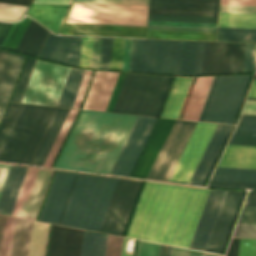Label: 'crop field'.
<instances>
[{"instance_id":"1","label":"crop field","mask_w":256,"mask_h":256,"mask_svg":"<svg viewBox=\"0 0 256 256\" xmlns=\"http://www.w3.org/2000/svg\"><path fill=\"white\" fill-rule=\"evenodd\" d=\"M208 191L145 182L125 236L188 248Z\"/></svg>"},{"instance_id":"2","label":"crop field","mask_w":256,"mask_h":256,"mask_svg":"<svg viewBox=\"0 0 256 256\" xmlns=\"http://www.w3.org/2000/svg\"><path fill=\"white\" fill-rule=\"evenodd\" d=\"M116 180L79 174L61 224L98 231Z\"/></svg>"},{"instance_id":"3","label":"crop field","mask_w":256,"mask_h":256,"mask_svg":"<svg viewBox=\"0 0 256 256\" xmlns=\"http://www.w3.org/2000/svg\"><path fill=\"white\" fill-rule=\"evenodd\" d=\"M171 78L126 73L112 112L158 116Z\"/></svg>"},{"instance_id":"4","label":"crop field","mask_w":256,"mask_h":256,"mask_svg":"<svg viewBox=\"0 0 256 256\" xmlns=\"http://www.w3.org/2000/svg\"><path fill=\"white\" fill-rule=\"evenodd\" d=\"M182 41L132 39L129 71L179 74Z\"/></svg>"},{"instance_id":"5","label":"crop field","mask_w":256,"mask_h":256,"mask_svg":"<svg viewBox=\"0 0 256 256\" xmlns=\"http://www.w3.org/2000/svg\"><path fill=\"white\" fill-rule=\"evenodd\" d=\"M148 6L73 3L66 22L146 26Z\"/></svg>"},{"instance_id":"6","label":"crop field","mask_w":256,"mask_h":256,"mask_svg":"<svg viewBox=\"0 0 256 256\" xmlns=\"http://www.w3.org/2000/svg\"><path fill=\"white\" fill-rule=\"evenodd\" d=\"M251 76H220L204 121L234 124Z\"/></svg>"},{"instance_id":"7","label":"crop field","mask_w":256,"mask_h":256,"mask_svg":"<svg viewBox=\"0 0 256 256\" xmlns=\"http://www.w3.org/2000/svg\"><path fill=\"white\" fill-rule=\"evenodd\" d=\"M69 69L37 60L21 102L56 106Z\"/></svg>"},{"instance_id":"8","label":"crop field","mask_w":256,"mask_h":256,"mask_svg":"<svg viewBox=\"0 0 256 256\" xmlns=\"http://www.w3.org/2000/svg\"><path fill=\"white\" fill-rule=\"evenodd\" d=\"M49 107L25 105L0 160L21 163Z\"/></svg>"},{"instance_id":"9","label":"crop field","mask_w":256,"mask_h":256,"mask_svg":"<svg viewBox=\"0 0 256 256\" xmlns=\"http://www.w3.org/2000/svg\"><path fill=\"white\" fill-rule=\"evenodd\" d=\"M141 183L122 179L117 180L99 231L123 235Z\"/></svg>"},{"instance_id":"10","label":"crop field","mask_w":256,"mask_h":256,"mask_svg":"<svg viewBox=\"0 0 256 256\" xmlns=\"http://www.w3.org/2000/svg\"><path fill=\"white\" fill-rule=\"evenodd\" d=\"M196 122L175 120L146 179L167 181Z\"/></svg>"},{"instance_id":"11","label":"crop field","mask_w":256,"mask_h":256,"mask_svg":"<svg viewBox=\"0 0 256 256\" xmlns=\"http://www.w3.org/2000/svg\"><path fill=\"white\" fill-rule=\"evenodd\" d=\"M54 171L29 168L11 215L37 219Z\"/></svg>"},{"instance_id":"12","label":"crop field","mask_w":256,"mask_h":256,"mask_svg":"<svg viewBox=\"0 0 256 256\" xmlns=\"http://www.w3.org/2000/svg\"><path fill=\"white\" fill-rule=\"evenodd\" d=\"M157 119L137 117L109 174L130 176Z\"/></svg>"},{"instance_id":"13","label":"crop field","mask_w":256,"mask_h":256,"mask_svg":"<svg viewBox=\"0 0 256 256\" xmlns=\"http://www.w3.org/2000/svg\"><path fill=\"white\" fill-rule=\"evenodd\" d=\"M216 125L197 123L169 181L188 183Z\"/></svg>"},{"instance_id":"14","label":"crop field","mask_w":256,"mask_h":256,"mask_svg":"<svg viewBox=\"0 0 256 256\" xmlns=\"http://www.w3.org/2000/svg\"><path fill=\"white\" fill-rule=\"evenodd\" d=\"M78 174L57 171L38 220L61 223Z\"/></svg>"},{"instance_id":"15","label":"crop field","mask_w":256,"mask_h":256,"mask_svg":"<svg viewBox=\"0 0 256 256\" xmlns=\"http://www.w3.org/2000/svg\"><path fill=\"white\" fill-rule=\"evenodd\" d=\"M245 44L210 42L207 74L242 72Z\"/></svg>"},{"instance_id":"16","label":"crop field","mask_w":256,"mask_h":256,"mask_svg":"<svg viewBox=\"0 0 256 256\" xmlns=\"http://www.w3.org/2000/svg\"><path fill=\"white\" fill-rule=\"evenodd\" d=\"M244 193L236 191L227 192L206 251L223 253Z\"/></svg>"},{"instance_id":"17","label":"crop field","mask_w":256,"mask_h":256,"mask_svg":"<svg viewBox=\"0 0 256 256\" xmlns=\"http://www.w3.org/2000/svg\"><path fill=\"white\" fill-rule=\"evenodd\" d=\"M226 192L218 190L209 191L189 248L206 250Z\"/></svg>"},{"instance_id":"18","label":"crop field","mask_w":256,"mask_h":256,"mask_svg":"<svg viewBox=\"0 0 256 256\" xmlns=\"http://www.w3.org/2000/svg\"><path fill=\"white\" fill-rule=\"evenodd\" d=\"M80 41L79 36H56L50 33L38 57L78 66Z\"/></svg>"},{"instance_id":"19","label":"crop field","mask_w":256,"mask_h":256,"mask_svg":"<svg viewBox=\"0 0 256 256\" xmlns=\"http://www.w3.org/2000/svg\"><path fill=\"white\" fill-rule=\"evenodd\" d=\"M233 126L218 124L189 183L203 186Z\"/></svg>"},{"instance_id":"20","label":"crop field","mask_w":256,"mask_h":256,"mask_svg":"<svg viewBox=\"0 0 256 256\" xmlns=\"http://www.w3.org/2000/svg\"><path fill=\"white\" fill-rule=\"evenodd\" d=\"M146 27L65 23L61 34L145 38Z\"/></svg>"},{"instance_id":"21","label":"crop field","mask_w":256,"mask_h":256,"mask_svg":"<svg viewBox=\"0 0 256 256\" xmlns=\"http://www.w3.org/2000/svg\"><path fill=\"white\" fill-rule=\"evenodd\" d=\"M118 74L96 71L82 109L105 111Z\"/></svg>"},{"instance_id":"22","label":"crop field","mask_w":256,"mask_h":256,"mask_svg":"<svg viewBox=\"0 0 256 256\" xmlns=\"http://www.w3.org/2000/svg\"><path fill=\"white\" fill-rule=\"evenodd\" d=\"M84 231L53 225L48 256H80Z\"/></svg>"},{"instance_id":"23","label":"crop field","mask_w":256,"mask_h":256,"mask_svg":"<svg viewBox=\"0 0 256 256\" xmlns=\"http://www.w3.org/2000/svg\"><path fill=\"white\" fill-rule=\"evenodd\" d=\"M2 51V50H1ZM0 51V117L9 101L24 57Z\"/></svg>"},{"instance_id":"24","label":"crop field","mask_w":256,"mask_h":256,"mask_svg":"<svg viewBox=\"0 0 256 256\" xmlns=\"http://www.w3.org/2000/svg\"><path fill=\"white\" fill-rule=\"evenodd\" d=\"M208 186L256 189V169L217 167Z\"/></svg>"},{"instance_id":"25","label":"crop field","mask_w":256,"mask_h":256,"mask_svg":"<svg viewBox=\"0 0 256 256\" xmlns=\"http://www.w3.org/2000/svg\"><path fill=\"white\" fill-rule=\"evenodd\" d=\"M174 120L161 118L132 177L145 179Z\"/></svg>"},{"instance_id":"26","label":"crop field","mask_w":256,"mask_h":256,"mask_svg":"<svg viewBox=\"0 0 256 256\" xmlns=\"http://www.w3.org/2000/svg\"><path fill=\"white\" fill-rule=\"evenodd\" d=\"M69 110L57 108L30 164L43 165Z\"/></svg>"},{"instance_id":"27","label":"crop field","mask_w":256,"mask_h":256,"mask_svg":"<svg viewBox=\"0 0 256 256\" xmlns=\"http://www.w3.org/2000/svg\"><path fill=\"white\" fill-rule=\"evenodd\" d=\"M28 168L12 166L0 197V213L11 214Z\"/></svg>"},{"instance_id":"28","label":"crop field","mask_w":256,"mask_h":256,"mask_svg":"<svg viewBox=\"0 0 256 256\" xmlns=\"http://www.w3.org/2000/svg\"><path fill=\"white\" fill-rule=\"evenodd\" d=\"M218 166L256 168V147L228 145Z\"/></svg>"},{"instance_id":"29","label":"crop field","mask_w":256,"mask_h":256,"mask_svg":"<svg viewBox=\"0 0 256 256\" xmlns=\"http://www.w3.org/2000/svg\"><path fill=\"white\" fill-rule=\"evenodd\" d=\"M150 9L217 12L218 0H151Z\"/></svg>"},{"instance_id":"30","label":"crop field","mask_w":256,"mask_h":256,"mask_svg":"<svg viewBox=\"0 0 256 256\" xmlns=\"http://www.w3.org/2000/svg\"><path fill=\"white\" fill-rule=\"evenodd\" d=\"M214 77H198L183 119L198 121Z\"/></svg>"},{"instance_id":"31","label":"crop field","mask_w":256,"mask_h":256,"mask_svg":"<svg viewBox=\"0 0 256 256\" xmlns=\"http://www.w3.org/2000/svg\"><path fill=\"white\" fill-rule=\"evenodd\" d=\"M192 78L175 77L161 117L177 118Z\"/></svg>"},{"instance_id":"32","label":"crop field","mask_w":256,"mask_h":256,"mask_svg":"<svg viewBox=\"0 0 256 256\" xmlns=\"http://www.w3.org/2000/svg\"><path fill=\"white\" fill-rule=\"evenodd\" d=\"M48 32L31 19L16 51L36 57Z\"/></svg>"},{"instance_id":"33","label":"crop field","mask_w":256,"mask_h":256,"mask_svg":"<svg viewBox=\"0 0 256 256\" xmlns=\"http://www.w3.org/2000/svg\"><path fill=\"white\" fill-rule=\"evenodd\" d=\"M229 144L256 146V116H241Z\"/></svg>"},{"instance_id":"34","label":"crop field","mask_w":256,"mask_h":256,"mask_svg":"<svg viewBox=\"0 0 256 256\" xmlns=\"http://www.w3.org/2000/svg\"><path fill=\"white\" fill-rule=\"evenodd\" d=\"M68 9L31 7L28 14L58 33Z\"/></svg>"},{"instance_id":"35","label":"crop field","mask_w":256,"mask_h":256,"mask_svg":"<svg viewBox=\"0 0 256 256\" xmlns=\"http://www.w3.org/2000/svg\"><path fill=\"white\" fill-rule=\"evenodd\" d=\"M32 221L16 218L10 256H26Z\"/></svg>"},{"instance_id":"36","label":"crop field","mask_w":256,"mask_h":256,"mask_svg":"<svg viewBox=\"0 0 256 256\" xmlns=\"http://www.w3.org/2000/svg\"><path fill=\"white\" fill-rule=\"evenodd\" d=\"M85 70L71 68L57 106L71 108Z\"/></svg>"},{"instance_id":"37","label":"crop field","mask_w":256,"mask_h":256,"mask_svg":"<svg viewBox=\"0 0 256 256\" xmlns=\"http://www.w3.org/2000/svg\"><path fill=\"white\" fill-rule=\"evenodd\" d=\"M215 33L148 30L147 38L214 41Z\"/></svg>"},{"instance_id":"38","label":"crop field","mask_w":256,"mask_h":256,"mask_svg":"<svg viewBox=\"0 0 256 256\" xmlns=\"http://www.w3.org/2000/svg\"><path fill=\"white\" fill-rule=\"evenodd\" d=\"M218 27L256 29V15L219 13Z\"/></svg>"},{"instance_id":"39","label":"crop field","mask_w":256,"mask_h":256,"mask_svg":"<svg viewBox=\"0 0 256 256\" xmlns=\"http://www.w3.org/2000/svg\"><path fill=\"white\" fill-rule=\"evenodd\" d=\"M107 235L85 231L81 256H104Z\"/></svg>"},{"instance_id":"40","label":"crop field","mask_w":256,"mask_h":256,"mask_svg":"<svg viewBox=\"0 0 256 256\" xmlns=\"http://www.w3.org/2000/svg\"><path fill=\"white\" fill-rule=\"evenodd\" d=\"M24 105L12 103L0 126V153Z\"/></svg>"},{"instance_id":"41","label":"crop field","mask_w":256,"mask_h":256,"mask_svg":"<svg viewBox=\"0 0 256 256\" xmlns=\"http://www.w3.org/2000/svg\"><path fill=\"white\" fill-rule=\"evenodd\" d=\"M197 42L183 41L180 74L193 75Z\"/></svg>"},{"instance_id":"42","label":"crop field","mask_w":256,"mask_h":256,"mask_svg":"<svg viewBox=\"0 0 256 256\" xmlns=\"http://www.w3.org/2000/svg\"><path fill=\"white\" fill-rule=\"evenodd\" d=\"M78 110L71 109L43 166L50 167Z\"/></svg>"},{"instance_id":"43","label":"crop field","mask_w":256,"mask_h":256,"mask_svg":"<svg viewBox=\"0 0 256 256\" xmlns=\"http://www.w3.org/2000/svg\"><path fill=\"white\" fill-rule=\"evenodd\" d=\"M55 110H56V108H53V107L49 108V110H48V112H47V114H46V116H45V118H44V120H43V122H42V124H41V126H40V128H39V130H38V132H37V134H36V136H35V138H34V140H33V142H32V144H31V146H30V148H29V150H28V152H27V154H26L22 163L29 164V162H30V160H31V158H32V156H33V154H34V152H35V150H36V148H37V146H38V144H39V142H40V140H41V138H42V136H43V134H44L51 118H52V116H53V114H54V112H55Z\"/></svg>"},{"instance_id":"44","label":"crop field","mask_w":256,"mask_h":256,"mask_svg":"<svg viewBox=\"0 0 256 256\" xmlns=\"http://www.w3.org/2000/svg\"><path fill=\"white\" fill-rule=\"evenodd\" d=\"M209 42H198L194 75L206 74Z\"/></svg>"},{"instance_id":"45","label":"crop field","mask_w":256,"mask_h":256,"mask_svg":"<svg viewBox=\"0 0 256 256\" xmlns=\"http://www.w3.org/2000/svg\"><path fill=\"white\" fill-rule=\"evenodd\" d=\"M125 39L113 38L110 70L121 71Z\"/></svg>"},{"instance_id":"46","label":"crop field","mask_w":256,"mask_h":256,"mask_svg":"<svg viewBox=\"0 0 256 256\" xmlns=\"http://www.w3.org/2000/svg\"><path fill=\"white\" fill-rule=\"evenodd\" d=\"M35 61L36 60L34 59H30V58L27 59L26 65L24 67L22 76L20 78L19 84L17 86L16 92L12 101H16V102L21 101V98L23 96L24 90L26 88V85L29 80Z\"/></svg>"},{"instance_id":"47","label":"crop field","mask_w":256,"mask_h":256,"mask_svg":"<svg viewBox=\"0 0 256 256\" xmlns=\"http://www.w3.org/2000/svg\"><path fill=\"white\" fill-rule=\"evenodd\" d=\"M217 41L256 43V34L217 32Z\"/></svg>"},{"instance_id":"48","label":"crop field","mask_w":256,"mask_h":256,"mask_svg":"<svg viewBox=\"0 0 256 256\" xmlns=\"http://www.w3.org/2000/svg\"><path fill=\"white\" fill-rule=\"evenodd\" d=\"M29 21H30V18L25 17L23 21L17 23L12 35L10 36L5 46V49L15 51Z\"/></svg>"},{"instance_id":"49","label":"crop field","mask_w":256,"mask_h":256,"mask_svg":"<svg viewBox=\"0 0 256 256\" xmlns=\"http://www.w3.org/2000/svg\"><path fill=\"white\" fill-rule=\"evenodd\" d=\"M149 20L216 23L217 18L149 15Z\"/></svg>"},{"instance_id":"50","label":"crop field","mask_w":256,"mask_h":256,"mask_svg":"<svg viewBox=\"0 0 256 256\" xmlns=\"http://www.w3.org/2000/svg\"><path fill=\"white\" fill-rule=\"evenodd\" d=\"M93 37H82L79 66L90 68Z\"/></svg>"},{"instance_id":"51","label":"crop field","mask_w":256,"mask_h":256,"mask_svg":"<svg viewBox=\"0 0 256 256\" xmlns=\"http://www.w3.org/2000/svg\"><path fill=\"white\" fill-rule=\"evenodd\" d=\"M15 218L7 216L1 256H9Z\"/></svg>"},{"instance_id":"52","label":"crop field","mask_w":256,"mask_h":256,"mask_svg":"<svg viewBox=\"0 0 256 256\" xmlns=\"http://www.w3.org/2000/svg\"><path fill=\"white\" fill-rule=\"evenodd\" d=\"M25 7L8 4H0V19L14 20L19 18Z\"/></svg>"},{"instance_id":"53","label":"crop field","mask_w":256,"mask_h":256,"mask_svg":"<svg viewBox=\"0 0 256 256\" xmlns=\"http://www.w3.org/2000/svg\"><path fill=\"white\" fill-rule=\"evenodd\" d=\"M123 238L108 235L105 256H120Z\"/></svg>"},{"instance_id":"54","label":"crop field","mask_w":256,"mask_h":256,"mask_svg":"<svg viewBox=\"0 0 256 256\" xmlns=\"http://www.w3.org/2000/svg\"><path fill=\"white\" fill-rule=\"evenodd\" d=\"M160 245L139 241L137 256H158Z\"/></svg>"},{"instance_id":"55","label":"crop field","mask_w":256,"mask_h":256,"mask_svg":"<svg viewBox=\"0 0 256 256\" xmlns=\"http://www.w3.org/2000/svg\"><path fill=\"white\" fill-rule=\"evenodd\" d=\"M112 38H103L100 69H109Z\"/></svg>"},{"instance_id":"56","label":"crop field","mask_w":256,"mask_h":256,"mask_svg":"<svg viewBox=\"0 0 256 256\" xmlns=\"http://www.w3.org/2000/svg\"><path fill=\"white\" fill-rule=\"evenodd\" d=\"M233 237L256 238V225L237 224Z\"/></svg>"},{"instance_id":"57","label":"crop field","mask_w":256,"mask_h":256,"mask_svg":"<svg viewBox=\"0 0 256 256\" xmlns=\"http://www.w3.org/2000/svg\"><path fill=\"white\" fill-rule=\"evenodd\" d=\"M248 243L247 245H245ZM256 240L241 239L238 256H256Z\"/></svg>"},{"instance_id":"58","label":"crop field","mask_w":256,"mask_h":256,"mask_svg":"<svg viewBox=\"0 0 256 256\" xmlns=\"http://www.w3.org/2000/svg\"><path fill=\"white\" fill-rule=\"evenodd\" d=\"M92 72L93 71H91V70H86L85 71V74L83 76L80 88L78 90V93H77V96H76V99H75V102H74L72 108H79L80 107V104L82 102V99H83V96L85 94V91H86L87 85L89 83L90 77L92 75Z\"/></svg>"},{"instance_id":"59","label":"crop field","mask_w":256,"mask_h":256,"mask_svg":"<svg viewBox=\"0 0 256 256\" xmlns=\"http://www.w3.org/2000/svg\"><path fill=\"white\" fill-rule=\"evenodd\" d=\"M148 25L216 28V24L149 21Z\"/></svg>"},{"instance_id":"60","label":"crop field","mask_w":256,"mask_h":256,"mask_svg":"<svg viewBox=\"0 0 256 256\" xmlns=\"http://www.w3.org/2000/svg\"><path fill=\"white\" fill-rule=\"evenodd\" d=\"M149 14L217 17V13L150 10Z\"/></svg>"},{"instance_id":"61","label":"crop field","mask_w":256,"mask_h":256,"mask_svg":"<svg viewBox=\"0 0 256 256\" xmlns=\"http://www.w3.org/2000/svg\"><path fill=\"white\" fill-rule=\"evenodd\" d=\"M73 2L148 5V0H74Z\"/></svg>"},{"instance_id":"62","label":"crop field","mask_w":256,"mask_h":256,"mask_svg":"<svg viewBox=\"0 0 256 256\" xmlns=\"http://www.w3.org/2000/svg\"><path fill=\"white\" fill-rule=\"evenodd\" d=\"M237 223L256 224V208L244 207Z\"/></svg>"},{"instance_id":"63","label":"crop field","mask_w":256,"mask_h":256,"mask_svg":"<svg viewBox=\"0 0 256 256\" xmlns=\"http://www.w3.org/2000/svg\"><path fill=\"white\" fill-rule=\"evenodd\" d=\"M255 44H246L243 72H253V55Z\"/></svg>"},{"instance_id":"64","label":"crop field","mask_w":256,"mask_h":256,"mask_svg":"<svg viewBox=\"0 0 256 256\" xmlns=\"http://www.w3.org/2000/svg\"><path fill=\"white\" fill-rule=\"evenodd\" d=\"M220 12L256 13V6L220 5Z\"/></svg>"},{"instance_id":"65","label":"crop field","mask_w":256,"mask_h":256,"mask_svg":"<svg viewBox=\"0 0 256 256\" xmlns=\"http://www.w3.org/2000/svg\"><path fill=\"white\" fill-rule=\"evenodd\" d=\"M102 38L94 37L91 68L99 69Z\"/></svg>"},{"instance_id":"66","label":"crop field","mask_w":256,"mask_h":256,"mask_svg":"<svg viewBox=\"0 0 256 256\" xmlns=\"http://www.w3.org/2000/svg\"><path fill=\"white\" fill-rule=\"evenodd\" d=\"M148 29L182 30V31H204V32H215V30H216V29H205V28H182V27H159V26H148Z\"/></svg>"},{"instance_id":"67","label":"crop field","mask_w":256,"mask_h":256,"mask_svg":"<svg viewBox=\"0 0 256 256\" xmlns=\"http://www.w3.org/2000/svg\"><path fill=\"white\" fill-rule=\"evenodd\" d=\"M125 73H120L106 111L111 112Z\"/></svg>"},{"instance_id":"68","label":"crop field","mask_w":256,"mask_h":256,"mask_svg":"<svg viewBox=\"0 0 256 256\" xmlns=\"http://www.w3.org/2000/svg\"><path fill=\"white\" fill-rule=\"evenodd\" d=\"M171 256H203V253L172 247Z\"/></svg>"},{"instance_id":"69","label":"crop field","mask_w":256,"mask_h":256,"mask_svg":"<svg viewBox=\"0 0 256 256\" xmlns=\"http://www.w3.org/2000/svg\"><path fill=\"white\" fill-rule=\"evenodd\" d=\"M131 39H126L122 70L128 71Z\"/></svg>"},{"instance_id":"70","label":"crop field","mask_w":256,"mask_h":256,"mask_svg":"<svg viewBox=\"0 0 256 256\" xmlns=\"http://www.w3.org/2000/svg\"><path fill=\"white\" fill-rule=\"evenodd\" d=\"M218 77H219V76H217V77L214 78V81H213V84H212V86H211V89H210L208 98H207V100H206V103H205L203 112L201 111L202 114H201V117H200V120H199V121H203V120H204V117H205L206 111H207V109H208V106H209V103H210V100H211V97H212L214 88H215L216 83H217V80H218Z\"/></svg>"},{"instance_id":"71","label":"crop field","mask_w":256,"mask_h":256,"mask_svg":"<svg viewBox=\"0 0 256 256\" xmlns=\"http://www.w3.org/2000/svg\"><path fill=\"white\" fill-rule=\"evenodd\" d=\"M240 239L232 238L226 256H237Z\"/></svg>"},{"instance_id":"72","label":"crop field","mask_w":256,"mask_h":256,"mask_svg":"<svg viewBox=\"0 0 256 256\" xmlns=\"http://www.w3.org/2000/svg\"><path fill=\"white\" fill-rule=\"evenodd\" d=\"M220 4L256 5V0H221Z\"/></svg>"},{"instance_id":"73","label":"crop field","mask_w":256,"mask_h":256,"mask_svg":"<svg viewBox=\"0 0 256 256\" xmlns=\"http://www.w3.org/2000/svg\"><path fill=\"white\" fill-rule=\"evenodd\" d=\"M11 166L0 164V194Z\"/></svg>"},{"instance_id":"74","label":"crop field","mask_w":256,"mask_h":256,"mask_svg":"<svg viewBox=\"0 0 256 256\" xmlns=\"http://www.w3.org/2000/svg\"><path fill=\"white\" fill-rule=\"evenodd\" d=\"M242 114L256 115V101L247 100Z\"/></svg>"},{"instance_id":"75","label":"crop field","mask_w":256,"mask_h":256,"mask_svg":"<svg viewBox=\"0 0 256 256\" xmlns=\"http://www.w3.org/2000/svg\"><path fill=\"white\" fill-rule=\"evenodd\" d=\"M244 206L256 207V191H249Z\"/></svg>"},{"instance_id":"76","label":"crop field","mask_w":256,"mask_h":256,"mask_svg":"<svg viewBox=\"0 0 256 256\" xmlns=\"http://www.w3.org/2000/svg\"><path fill=\"white\" fill-rule=\"evenodd\" d=\"M11 24L0 23V46L10 28Z\"/></svg>"},{"instance_id":"77","label":"crop field","mask_w":256,"mask_h":256,"mask_svg":"<svg viewBox=\"0 0 256 256\" xmlns=\"http://www.w3.org/2000/svg\"><path fill=\"white\" fill-rule=\"evenodd\" d=\"M72 0H35L34 3L70 4Z\"/></svg>"},{"instance_id":"78","label":"crop field","mask_w":256,"mask_h":256,"mask_svg":"<svg viewBox=\"0 0 256 256\" xmlns=\"http://www.w3.org/2000/svg\"><path fill=\"white\" fill-rule=\"evenodd\" d=\"M29 1L30 0H0V3H8V4L27 6Z\"/></svg>"},{"instance_id":"79","label":"crop field","mask_w":256,"mask_h":256,"mask_svg":"<svg viewBox=\"0 0 256 256\" xmlns=\"http://www.w3.org/2000/svg\"><path fill=\"white\" fill-rule=\"evenodd\" d=\"M217 31H228V32H251L256 33L255 29H230V28H218Z\"/></svg>"},{"instance_id":"80","label":"crop field","mask_w":256,"mask_h":256,"mask_svg":"<svg viewBox=\"0 0 256 256\" xmlns=\"http://www.w3.org/2000/svg\"><path fill=\"white\" fill-rule=\"evenodd\" d=\"M5 219H6V216L0 215V250H1V243H2Z\"/></svg>"},{"instance_id":"81","label":"crop field","mask_w":256,"mask_h":256,"mask_svg":"<svg viewBox=\"0 0 256 256\" xmlns=\"http://www.w3.org/2000/svg\"><path fill=\"white\" fill-rule=\"evenodd\" d=\"M33 6L69 8V5H52V4H33Z\"/></svg>"},{"instance_id":"82","label":"crop field","mask_w":256,"mask_h":256,"mask_svg":"<svg viewBox=\"0 0 256 256\" xmlns=\"http://www.w3.org/2000/svg\"><path fill=\"white\" fill-rule=\"evenodd\" d=\"M248 97H256V80L253 81L250 93Z\"/></svg>"},{"instance_id":"83","label":"crop field","mask_w":256,"mask_h":256,"mask_svg":"<svg viewBox=\"0 0 256 256\" xmlns=\"http://www.w3.org/2000/svg\"><path fill=\"white\" fill-rule=\"evenodd\" d=\"M15 25H16V23L12 24V26H11V28H10V30H9V32H8V34H7V36H6L5 40H4V42H3L1 48H4V46H5V44H6L7 40H8V38H9V36L11 35V33H12V31H13Z\"/></svg>"},{"instance_id":"84","label":"crop field","mask_w":256,"mask_h":256,"mask_svg":"<svg viewBox=\"0 0 256 256\" xmlns=\"http://www.w3.org/2000/svg\"><path fill=\"white\" fill-rule=\"evenodd\" d=\"M126 239H127V238H124L123 249H122V256H133V255H134V252H133V255L124 254ZM135 243H136V242H135ZM134 249H135V247H134Z\"/></svg>"},{"instance_id":"85","label":"crop field","mask_w":256,"mask_h":256,"mask_svg":"<svg viewBox=\"0 0 256 256\" xmlns=\"http://www.w3.org/2000/svg\"><path fill=\"white\" fill-rule=\"evenodd\" d=\"M163 248H164V245H161L159 256H162V254H163Z\"/></svg>"},{"instance_id":"86","label":"crop field","mask_w":256,"mask_h":256,"mask_svg":"<svg viewBox=\"0 0 256 256\" xmlns=\"http://www.w3.org/2000/svg\"><path fill=\"white\" fill-rule=\"evenodd\" d=\"M170 250H171V247L168 246L167 255L166 256H170Z\"/></svg>"},{"instance_id":"87","label":"crop field","mask_w":256,"mask_h":256,"mask_svg":"<svg viewBox=\"0 0 256 256\" xmlns=\"http://www.w3.org/2000/svg\"><path fill=\"white\" fill-rule=\"evenodd\" d=\"M204 256H219V255H213V254L204 253Z\"/></svg>"},{"instance_id":"88","label":"crop field","mask_w":256,"mask_h":256,"mask_svg":"<svg viewBox=\"0 0 256 256\" xmlns=\"http://www.w3.org/2000/svg\"><path fill=\"white\" fill-rule=\"evenodd\" d=\"M248 99H255L256 100V98H248Z\"/></svg>"},{"instance_id":"89","label":"crop field","mask_w":256,"mask_h":256,"mask_svg":"<svg viewBox=\"0 0 256 256\" xmlns=\"http://www.w3.org/2000/svg\"><path fill=\"white\" fill-rule=\"evenodd\" d=\"M254 79H256V76H255V78Z\"/></svg>"}]
</instances>
